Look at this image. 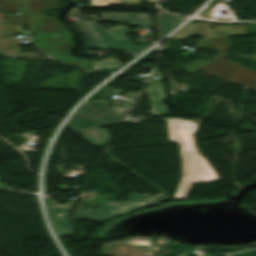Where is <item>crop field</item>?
Returning a JSON list of instances; mask_svg holds the SVG:
<instances>
[{"label": "crop field", "mask_w": 256, "mask_h": 256, "mask_svg": "<svg viewBox=\"0 0 256 256\" xmlns=\"http://www.w3.org/2000/svg\"><path fill=\"white\" fill-rule=\"evenodd\" d=\"M8 21L4 22L5 24H27V13H21L22 15H17L13 13L10 15L8 12H5Z\"/></svg>", "instance_id": "obj_14"}, {"label": "crop field", "mask_w": 256, "mask_h": 256, "mask_svg": "<svg viewBox=\"0 0 256 256\" xmlns=\"http://www.w3.org/2000/svg\"><path fill=\"white\" fill-rule=\"evenodd\" d=\"M170 141L180 145L183 174L175 199H186L191 184L219 181V177L197 151L193 135L199 128L190 121L167 119Z\"/></svg>", "instance_id": "obj_1"}, {"label": "crop field", "mask_w": 256, "mask_h": 256, "mask_svg": "<svg viewBox=\"0 0 256 256\" xmlns=\"http://www.w3.org/2000/svg\"><path fill=\"white\" fill-rule=\"evenodd\" d=\"M69 17L94 18L96 20L129 21L132 26L152 27V19L149 14H124V13H102V19L96 16H80V9H73Z\"/></svg>", "instance_id": "obj_10"}, {"label": "crop field", "mask_w": 256, "mask_h": 256, "mask_svg": "<svg viewBox=\"0 0 256 256\" xmlns=\"http://www.w3.org/2000/svg\"><path fill=\"white\" fill-rule=\"evenodd\" d=\"M61 62L65 63V64H67L69 66L78 67V68L85 69V70H87L88 65L90 63L88 61H84V60H80V59H75V58L61 60Z\"/></svg>", "instance_id": "obj_15"}, {"label": "crop field", "mask_w": 256, "mask_h": 256, "mask_svg": "<svg viewBox=\"0 0 256 256\" xmlns=\"http://www.w3.org/2000/svg\"><path fill=\"white\" fill-rule=\"evenodd\" d=\"M186 18L171 16L158 11L157 17V31L158 38H161L166 33H168L171 29L177 26L180 22H182Z\"/></svg>", "instance_id": "obj_12"}, {"label": "crop field", "mask_w": 256, "mask_h": 256, "mask_svg": "<svg viewBox=\"0 0 256 256\" xmlns=\"http://www.w3.org/2000/svg\"><path fill=\"white\" fill-rule=\"evenodd\" d=\"M33 34L38 35L41 43L37 47L45 54L55 58H66L70 51L73 41L65 27L58 23L54 16H44L30 23ZM47 32V34H43ZM52 34H59L53 37Z\"/></svg>", "instance_id": "obj_6"}, {"label": "crop field", "mask_w": 256, "mask_h": 256, "mask_svg": "<svg viewBox=\"0 0 256 256\" xmlns=\"http://www.w3.org/2000/svg\"><path fill=\"white\" fill-rule=\"evenodd\" d=\"M231 47L228 37L204 39L199 41L198 48L217 50L220 53L210 61L196 60L182 69L190 73L203 69L204 73L234 82L256 90V72L225 60L229 55L223 54Z\"/></svg>", "instance_id": "obj_3"}, {"label": "crop field", "mask_w": 256, "mask_h": 256, "mask_svg": "<svg viewBox=\"0 0 256 256\" xmlns=\"http://www.w3.org/2000/svg\"><path fill=\"white\" fill-rule=\"evenodd\" d=\"M116 67H121L120 63L117 60L110 57L109 59L102 60V61H93L91 70L116 68Z\"/></svg>", "instance_id": "obj_13"}, {"label": "crop field", "mask_w": 256, "mask_h": 256, "mask_svg": "<svg viewBox=\"0 0 256 256\" xmlns=\"http://www.w3.org/2000/svg\"><path fill=\"white\" fill-rule=\"evenodd\" d=\"M130 103L126 101L121 107L108 108L107 100L88 101L66 126L73 131H80L94 146L107 144L111 137L100 127L120 124Z\"/></svg>", "instance_id": "obj_2"}, {"label": "crop field", "mask_w": 256, "mask_h": 256, "mask_svg": "<svg viewBox=\"0 0 256 256\" xmlns=\"http://www.w3.org/2000/svg\"><path fill=\"white\" fill-rule=\"evenodd\" d=\"M143 93H148L152 105L151 112L154 117L171 116L168 109L164 107L165 96L161 85L146 86Z\"/></svg>", "instance_id": "obj_11"}, {"label": "crop field", "mask_w": 256, "mask_h": 256, "mask_svg": "<svg viewBox=\"0 0 256 256\" xmlns=\"http://www.w3.org/2000/svg\"><path fill=\"white\" fill-rule=\"evenodd\" d=\"M210 26H214L216 37L247 34L245 26H218L215 24L190 23L168 40L190 39L192 36L214 38Z\"/></svg>", "instance_id": "obj_7"}, {"label": "crop field", "mask_w": 256, "mask_h": 256, "mask_svg": "<svg viewBox=\"0 0 256 256\" xmlns=\"http://www.w3.org/2000/svg\"><path fill=\"white\" fill-rule=\"evenodd\" d=\"M76 201L77 200L75 199H71L62 207L56 202H50L49 197H46L49 217L52 221L55 231L59 236L72 234L73 228L69 220Z\"/></svg>", "instance_id": "obj_9"}, {"label": "crop field", "mask_w": 256, "mask_h": 256, "mask_svg": "<svg viewBox=\"0 0 256 256\" xmlns=\"http://www.w3.org/2000/svg\"><path fill=\"white\" fill-rule=\"evenodd\" d=\"M59 7L60 0H0V11L28 12V22L42 16L43 11L59 10Z\"/></svg>", "instance_id": "obj_8"}, {"label": "crop field", "mask_w": 256, "mask_h": 256, "mask_svg": "<svg viewBox=\"0 0 256 256\" xmlns=\"http://www.w3.org/2000/svg\"><path fill=\"white\" fill-rule=\"evenodd\" d=\"M137 93H128L126 95H124V98L130 99V100H134L135 96Z\"/></svg>", "instance_id": "obj_16"}, {"label": "crop field", "mask_w": 256, "mask_h": 256, "mask_svg": "<svg viewBox=\"0 0 256 256\" xmlns=\"http://www.w3.org/2000/svg\"><path fill=\"white\" fill-rule=\"evenodd\" d=\"M128 198L129 200L125 202L101 203L100 208H98L100 210L99 212L94 209L84 210V205H87V202L82 200L76 211L74 219H86L101 223L111 217L125 214L144 207L158 205L170 199L161 193L154 197L147 194L141 195L139 193H131L128 195Z\"/></svg>", "instance_id": "obj_4"}, {"label": "crop field", "mask_w": 256, "mask_h": 256, "mask_svg": "<svg viewBox=\"0 0 256 256\" xmlns=\"http://www.w3.org/2000/svg\"><path fill=\"white\" fill-rule=\"evenodd\" d=\"M78 28L86 36L88 44L85 49H105V48H120L135 55L148 45L134 46L130 38H126L124 31L125 26H117L109 28L107 33L95 21H75Z\"/></svg>", "instance_id": "obj_5"}]
</instances>
